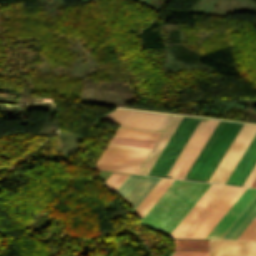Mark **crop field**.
<instances>
[{
    "label": "crop field",
    "mask_w": 256,
    "mask_h": 256,
    "mask_svg": "<svg viewBox=\"0 0 256 256\" xmlns=\"http://www.w3.org/2000/svg\"><path fill=\"white\" fill-rule=\"evenodd\" d=\"M210 185L174 180L142 219L170 233Z\"/></svg>",
    "instance_id": "8a807250"
},
{
    "label": "crop field",
    "mask_w": 256,
    "mask_h": 256,
    "mask_svg": "<svg viewBox=\"0 0 256 256\" xmlns=\"http://www.w3.org/2000/svg\"><path fill=\"white\" fill-rule=\"evenodd\" d=\"M200 120H205V119L183 117L180 124L176 128L175 132L171 136L170 140L166 144L165 148L161 152L160 156L156 160L155 164L151 168L148 175L169 177V176H165L166 173L168 172L169 168L175 161L176 157L182 150L183 146L189 139L190 135L192 134V132L194 131V129L196 128ZM206 123L207 121H200L197 128L191 135L190 139L184 146L183 150L177 157L176 161L170 168L167 175L174 176L175 172L179 168L180 164L184 160L185 156L189 152L190 148L194 144L195 140L199 136L200 132L202 131ZM169 178H172V177H169Z\"/></svg>",
    "instance_id": "ac0d7876"
},
{
    "label": "crop field",
    "mask_w": 256,
    "mask_h": 256,
    "mask_svg": "<svg viewBox=\"0 0 256 256\" xmlns=\"http://www.w3.org/2000/svg\"><path fill=\"white\" fill-rule=\"evenodd\" d=\"M241 126L219 121L185 179L207 182Z\"/></svg>",
    "instance_id": "34b2d1b8"
},
{
    "label": "crop field",
    "mask_w": 256,
    "mask_h": 256,
    "mask_svg": "<svg viewBox=\"0 0 256 256\" xmlns=\"http://www.w3.org/2000/svg\"><path fill=\"white\" fill-rule=\"evenodd\" d=\"M231 188L212 184L169 237L190 238Z\"/></svg>",
    "instance_id": "412701ff"
},
{
    "label": "crop field",
    "mask_w": 256,
    "mask_h": 256,
    "mask_svg": "<svg viewBox=\"0 0 256 256\" xmlns=\"http://www.w3.org/2000/svg\"><path fill=\"white\" fill-rule=\"evenodd\" d=\"M151 149L108 144L98 163L141 168Z\"/></svg>",
    "instance_id": "f4fd0767"
},
{
    "label": "crop field",
    "mask_w": 256,
    "mask_h": 256,
    "mask_svg": "<svg viewBox=\"0 0 256 256\" xmlns=\"http://www.w3.org/2000/svg\"><path fill=\"white\" fill-rule=\"evenodd\" d=\"M160 178L128 175L115 191L136 208Z\"/></svg>",
    "instance_id": "dd49c442"
},
{
    "label": "crop field",
    "mask_w": 256,
    "mask_h": 256,
    "mask_svg": "<svg viewBox=\"0 0 256 256\" xmlns=\"http://www.w3.org/2000/svg\"><path fill=\"white\" fill-rule=\"evenodd\" d=\"M256 197V189L247 188L205 238L221 239Z\"/></svg>",
    "instance_id": "e52e79f7"
},
{
    "label": "crop field",
    "mask_w": 256,
    "mask_h": 256,
    "mask_svg": "<svg viewBox=\"0 0 256 256\" xmlns=\"http://www.w3.org/2000/svg\"><path fill=\"white\" fill-rule=\"evenodd\" d=\"M246 188L233 187L191 238H204ZM208 235V234H207Z\"/></svg>",
    "instance_id": "d8731c3e"
},
{
    "label": "crop field",
    "mask_w": 256,
    "mask_h": 256,
    "mask_svg": "<svg viewBox=\"0 0 256 256\" xmlns=\"http://www.w3.org/2000/svg\"><path fill=\"white\" fill-rule=\"evenodd\" d=\"M256 163V135L252 139L245 153L241 157L234 171L230 175L226 184L242 186L245 179ZM225 184V183H224Z\"/></svg>",
    "instance_id": "5a996713"
},
{
    "label": "crop field",
    "mask_w": 256,
    "mask_h": 256,
    "mask_svg": "<svg viewBox=\"0 0 256 256\" xmlns=\"http://www.w3.org/2000/svg\"><path fill=\"white\" fill-rule=\"evenodd\" d=\"M217 123L218 121L209 120L206 127L202 131L201 135L197 139L196 143L192 147L191 151L187 155L186 159L182 163L174 178L184 179L185 175L192 166L193 162L195 161L196 157L203 148L204 144L206 143L207 139L209 138Z\"/></svg>",
    "instance_id": "3316defc"
},
{
    "label": "crop field",
    "mask_w": 256,
    "mask_h": 256,
    "mask_svg": "<svg viewBox=\"0 0 256 256\" xmlns=\"http://www.w3.org/2000/svg\"><path fill=\"white\" fill-rule=\"evenodd\" d=\"M210 256H247V241L211 240Z\"/></svg>",
    "instance_id": "28ad6ade"
},
{
    "label": "crop field",
    "mask_w": 256,
    "mask_h": 256,
    "mask_svg": "<svg viewBox=\"0 0 256 256\" xmlns=\"http://www.w3.org/2000/svg\"><path fill=\"white\" fill-rule=\"evenodd\" d=\"M164 115L132 111L121 126L154 130Z\"/></svg>",
    "instance_id": "d1516ede"
},
{
    "label": "crop field",
    "mask_w": 256,
    "mask_h": 256,
    "mask_svg": "<svg viewBox=\"0 0 256 256\" xmlns=\"http://www.w3.org/2000/svg\"><path fill=\"white\" fill-rule=\"evenodd\" d=\"M181 118L182 117L174 116L171 123L169 124V126L165 130L164 134L162 135V137L158 141L157 145L155 146V148L153 149V151L149 155L148 159L146 160V162L144 163V165L142 166V168H141V170L139 171L138 174L147 175L148 171L150 170L153 163L157 159L158 155L162 151L163 147L165 146L166 142L170 138L171 134L175 130L178 123L180 122Z\"/></svg>",
    "instance_id": "22f410ed"
},
{
    "label": "crop field",
    "mask_w": 256,
    "mask_h": 256,
    "mask_svg": "<svg viewBox=\"0 0 256 256\" xmlns=\"http://www.w3.org/2000/svg\"><path fill=\"white\" fill-rule=\"evenodd\" d=\"M244 212V211H243ZM256 215V198L222 239H236Z\"/></svg>",
    "instance_id": "cbeb9de0"
},
{
    "label": "crop field",
    "mask_w": 256,
    "mask_h": 256,
    "mask_svg": "<svg viewBox=\"0 0 256 256\" xmlns=\"http://www.w3.org/2000/svg\"><path fill=\"white\" fill-rule=\"evenodd\" d=\"M173 180L161 178L160 181L155 185L147 197L142 201L134 213L143 215L149 210V208L155 203L160 195L166 190ZM142 216V217H143Z\"/></svg>",
    "instance_id": "5142ce71"
},
{
    "label": "crop field",
    "mask_w": 256,
    "mask_h": 256,
    "mask_svg": "<svg viewBox=\"0 0 256 256\" xmlns=\"http://www.w3.org/2000/svg\"><path fill=\"white\" fill-rule=\"evenodd\" d=\"M175 251L208 252L209 240H174Z\"/></svg>",
    "instance_id": "d9b57169"
},
{
    "label": "crop field",
    "mask_w": 256,
    "mask_h": 256,
    "mask_svg": "<svg viewBox=\"0 0 256 256\" xmlns=\"http://www.w3.org/2000/svg\"><path fill=\"white\" fill-rule=\"evenodd\" d=\"M110 143L139 146V147H148V148H153V146L156 144V142L154 141H146V140L124 138V137H117V136H113Z\"/></svg>",
    "instance_id": "733c2abd"
},
{
    "label": "crop field",
    "mask_w": 256,
    "mask_h": 256,
    "mask_svg": "<svg viewBox=\"0 0 256 256\" xmlns=\"http://www.w3.org/2000/svg\"><path fill=\"white\" fill-rule=\"evenodd\" d=\"M127 175L112 173L111 176L103 184L110 192L115 191Z\"/></svg>",
    "instance_id": "4a817a6b"
},
{
    "label": "crop field",
    "mask_w": 256,
    "mask_h": 256,
    "mask_svg": "<svg viewBox=\"0 0 256 256\" xmlns=\"http://www.w3.org/2000/svg\"><path fill=\"white\" fill-rule=\"evenodd\" d=\"M129 112V110L118 109L100 119L121 124Z\"/></svg>",
    "instance_id": "bc2a9ffb"
},
{
    "label": "crop field",
    "mask_w": 256,
    "mask_h": 256,
    "mask_svg": "<svg viewBox=\"0 0 256 256\" xmlns=\"http://www.w3.org/2000/svg\"><path fill=\"white\" fill-rule=\"evenodd\" d=\"M237 239L243 240H256V217L245 228V230L239 235Z\"/></svg>",
    "instance_id": "214f88e0"
},
{
    "label": "crop field",
    "mask_w": 256,
    "mask_h": 256,
    "mask_svg": "<svg viewBox=\"0 0 256 256\" xmlns=\"http://www.w3.org/2000/svg\"><path fill=\"white\" fill-rule=\"evenodd\" d=\"M94 169L121 171V172L133 173V174H136L139 170L136 168L118 167V166L101 165V164H96Z\"/></svg>",
    "instance_id": "92a150f3"
},
{
    "label": "crop field",
    "mask_w": 256,
    "mask_h": 256,
    "mask_svg": "<svg viewBox=\"0 0 256 256\" xmlns=\"http://www.w3.org/2000/svg\"><path fill=\"white\" fill-rule=\"evenodd\" d=\"M255 178H256V165L253 168V170L251 171V173L248 176V178L246 179V181L243 184V186L250 187L252 185V183L254 182Z\"/></svg>",
    "instance_id": "dafd665d"
},
{
    "label": "crop field",
    "mask_w": 256,
    "mask_h": 256,
    "mask_svg": "<svg viewBox=\"0 0 256 256\" xmlns=\"http://www.w3.org/2000/svg\"><path fill=\"white\" fill-rule=\"evenodd\" d=\"M172 256H208V253L175 252Z\"/></svg>",
    "instance_id": "00972430"
},
{
    "label": "crop field",
    "mask_w": 256,
    "mask_h": 256,
    "mask_svg": "<svg viewBox=\"0 0 256 256\" xmlns=\"http://www.w3.org/2000/svg\"><path fill=\"white\" fill-rule=\"evenodd\" d=\"M171 116L172 115H165V117L162 119V121L159 123V125L156 127L155 130L163 131L168 121L170 120Z\"/></svg>",
    "instance_id": "a9b5d70f"
},
{
    "label": "crop field",
    "mask_w": 256,
    "mask_h": 256,
    "mask_svg": "<svg viewBox=\"0 0 256 256\" xmlns=\"http://www.w3.org/2000/svg\"><path fill=\"white\" fill-rule=\"evenodd\" d=\"M248 256H256V242L248 241Z\"/></svg>",
    "instance_id": "4177f3b9"
},
{
    "label": "crop field",
    "mask_w": 256,
    "mask_h": 256,
    "mask_svg": "<svg viewBox=\"0 0 256 256\" xmlns=\"http://www.w3.org/2000/svg\"><path fill=\"white\" fill-rule=\"evenodd\" d=\"M250 187H251V186H250ZM252 187H256V180H255V182L253 183Z\"/></svg>",
    "instance_id": "730fd06b"
}]
</instances>
